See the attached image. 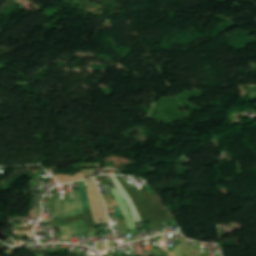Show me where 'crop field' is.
Masks as SVG:
<instances>
[{
    "label": "crop field",
    "instance_id": "4",
    "mask_svg": "<svg viewBox=\"0 0 256 256\" xmlns=\"http://www.w3.org/2000/svg\"><path fill=\"white\" fill-rule=\"evenodd\" d=\"M79 183H80V187H81L83 209L85 211L90 208L89 204H88V200H87L86 188H85L83 181H80Z\"/></svg>",
    "mask_w": 256,
    "mask_h": 256
},
{
    "label": "crop field",
    "instance_id": "2",
    "mask_svg": "<svg viewBox=\"0 0 256 256\" xmlns=\"http://www.w3.org/2000/svg\"><path fill=\"white\" fill-rule=\"evenodd\" d=\"M73 229V236L87 235L85 221L71 223Z\"/></svg>",
    "mask_w": 256,
    "mask_h": 256
},
{
    "label": "crop field",
    "instance_id": "3",
    "mask_svg": "<svg viewBox=\"0 0 256 256\" xmlns=\"http://www.w3.org/2000/svg\"><path fill=\"white\" fill-rule=\"evenodd\" d=\"M60 234L62 242H70V226L69 223L60 225Z\"/></svg>",
    "mask_w": 256,
    "mask_h": 256
},
{
    "label": "crop field",
    "instance_id": "1",
    "mask_svg": "<svg viewBox=\"0 0 256 256\" xmlns=\"http://www.w3.org/2000/svg\"><path fill=\"white\" fill-rule=\"evenodd\" d=\"M58 201L59 196H56L54 219H58ZM80 213H83L80 192L76 190L73 191V200H65V204H60V219Z\"/></svg>",
    "mask_w": 256,
    "mask_h": 256
}]
</instances>
